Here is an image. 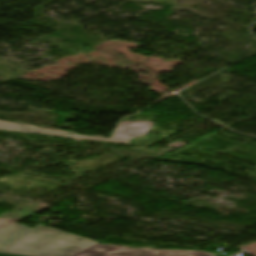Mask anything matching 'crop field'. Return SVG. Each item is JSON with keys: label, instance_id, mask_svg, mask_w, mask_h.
<instances>
[{"label": "crop field", "instance_id": "8a807250", "mask_svg": "<svg viewBox=\"0 0 256 256\" xmlns=\"http://www.w3.org/2000/svg\"><path fill=\"white\" fill-rule=\"evenodd\" d=\"M95 243L98 242L41 225L6 251L42 256H70Z\"/></svg>", "mask_w": 256, "mask_h": 256}, {"label": "crop field", "instance_id": "412701ff", "mask_svg": "<svg viewBox=\"0 0 256 256\" xmlns=\"http://www.w3.org/2000/svg\"><path fill=\"white\" fill-rule=\"evenodd\" d=\"M32 228L14 223L4 229L0 230V250L5 249L14 241L22 237Z\"/></svg>", "mask_w": 256, "mask_h": 256}, {"label": "crop field", "instance_id": "34b2d1b8", "mask_svg": "<svg viewBox=\"0 0 256 256\" xmlns=\"http://www.w3.org/2000/svg\"><path fill=\"white\" fill-rule=\"evenodd\" d=\"M152 122H120L112 138L131 140L133 137L148 134Z\"/></svg>", "mask_w": 256, "mask_h": 256}, {"label": "crop field", "instance_id": "5a996713", "mask_svg": "<svg viewBox=\"0 0 256 256\" xmlns=\"http://www.w3.org/2000/svg\"><path fill=\"white\" fill-rule=\"evenodd\" d=\"M22 125V124H21ZM26 126H28V125H26ZM34 127V126H33ZM37 128H40V127H37Z\"/></svg>", "mask_w": 256, "mask_h": 256}, {"label": "crop field", "instance_id": "e52e79f7", "mask_svg": "<svg viewBox=\"0 0 256 256\" xmlns=\"http://www.w3.org/2000/svg\"><path fill=\"white\" fill-rule=\"evenodd\" d=\"M23 218H7V219H0V229L6 227L14 222H17Z\"/></svg>", "mask_w": 256, "mask_h": 256}, {"label": "crop field", "instance_id": "dd49c442", "mask_svg": "<svg viewBox=\"0 0 256 256\" xmlns=\"http://www.w3.org/2000/svg\"><path fill=\"white\" fill-rule=\"evenodd\" d=\"M70 137L90 139V140H99V141L120 142V143L129 142V141H125V140H115V139H105V138H95V137H85V136H75V135H70Z\"/></svg>", "mask_w": 256, "mask_h": 256}, {"label": "crop field", "instance_id": "f4fd0767", "mask_svg": "<svg viewBox=\"0 0 256 256\" xmlns=\"http://www.w3.org/2000/svg\"><path fill=\"white\" fill-rule=\"evenodd\" d=\"M0 129L30 132V133L38 132V133L58 135V136H67L68 135L67 131L49 130V129H45V128L37 129V128H33V127L20 126V124L5 122V121H0Z\"/></svg>", "mask_w": 256, "mask_h": 256}, {"label": "crop field", "instance_id": "d8731c3e", "mask_svg": "<svg viewBox=\"0 0 256 256\" xmlns=\"http://www.w3.org/2000/svg\"><path fill=\"white\" fill-rule=\"evenodd\" d=\"M0 256H17V255H10V254H2V253H0Z\"/></svg>", "mask_w": 256, "mask_h": 256}, {"label": "crop field", "instance_id": "ac0d7876", "mask_svg": "<svg viewBox=\"0 0 256 256\" xmlns=\"http://www.w3.org/2000/svg\"><path fill=\"white\" fill-rule=\"evenodd\" d=\"M72 256H213L204 251L154 250L120 245L95 244Z\"/></svg>", "mask_w": 256, "mask_h": 256}]
</instances>
